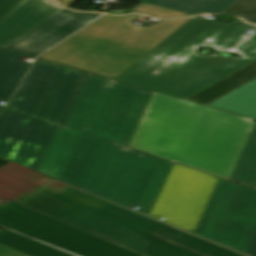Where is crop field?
I'll return each instance as SVG.
<instances>
[{"label":"crop field","mask_w":256,"mask_h":256,"mask_svg":"<svg viewBox=\"0 0 256 256\" xmlns=\"http://www.w3.org/2000/svg\"><path fill=\"white\" fill-rule=\"evenodd\" d=\"M133 12H143V13L149 14L156 18H175V17L191 16L188 14H184V13H180V12L144 4V3L139 5L137 8H135L130 13H133Z\"/></svg>","instance_id":"21"},{"label":"crop field","mask_w":256,"mask_h":256,"mask_svg":"<svg viewBox=\"0 0 256 256\" xmlns=\"http://www.w3.org/2000/svg\"><path fill=\"white\" fill-rule=\"evenodd\" d=\"M255 28L194 17L117 80L186 99L256 60V31L246 34ZM200 47L241 58L199 56Z\"/></svg>","instance_id":"3"},{"label":"crop field","mask_w":256,"mask_h":256,"mask_svg":"<svg viewBox=\"0 0 256 256\" xmlns=\"http://www.w3.org/2000/svg\"><path fill=\"white\" fill-rule=\"evenodd\" d=\"M0 256H28L0 245Z\"/></svg>","instance_id":"24"},{"label":"crop field","mask_w":256,"mask_h":256,"mask_svg":"<svg viewBox=\"0 0 256 256\" xmlns=\"http://www.w3.org/2000/svg\"><path fill=\"white\" fill-rule=\"evenodd\" d=\"M256 232V190L219 179L195 235L246 253Z\"/></svg>","instance_id":"8"},{"label":"crop field","mask_w":256,"mask_h":256,"mask_svg":"<svg viewBox=\"0 0 256 256\" xmlns=\"http://www.w3.org/2000/svg\"><path fill=\"white\" fill-rule=\"evenodd\" d=\"M52 1L56 2L57 0H52Z\"/></svg>","instance_id":"28"},{"label":"crop field","mask_w":256,"mask_h":256,"mask_svg":"<svg viewBox=\"0 0 256 256\" xmlns=\"http://www.w3.org/2000/svg\"><path fill=\"white\" fill-rule=\"evenodd\" d=\"M45 179L42 174L10 163L0 168V195L14 200L39 188L34 184Z\"/></svg>","instance_id":"13"},{"label":"crop field","mask_w":256,"mask_h":256,"mask_svg":"<svg viewBox=\"0 0 256 256\" xmlns=\"http://www.w3.org/2000/svg\"><path fill=\"white\" fill-rule=\"evenodd\" d=\"M246 254L250 256H256V234Z\"/></svg>","instance_id":"25"},{"label":"crop field","mask_w":256,"mask_h":256,"mask_svg":"<svg viewBox=\"0 0 256 256\" xmlns=\"http://www.w3.org/2000/svg\"><path fill=\"white\" fill-rule=\"evenodd\" d=\"M173 164L58 126L37 171L148 215Z\"/></svg>","instance_id":"1"},{"label":"crop field","mask_w":256,"mask_h":256,"mask_svg":"<svg viewBox=\"0 0 256 256\" xmlns=\"http://www.w3.org/2000/svg\"><path fill=\"white\" fill-rule=\"evenodd\" d=\"M141 16L105 15L40 58L116 79L190 20H165L138 29L130 22Z\"/></svg>","instance_id":"6"},{"label":"crop field","mask_w":256,"mask_h":256,"mask_svg":"<svg viewBox=\"0 0 256 256\" xmlns=\"http://www.w3.org/2000/svg\"><path fill=\"white\" fill-rule=\"evenodd\" d=\"M0 225L80 256H140L14 201L0 206Z\"/></svg>","instance_id":"9"},{"label":"crop field","mask_w":256,"mask_h":256,"mask_svg":"<svg viewBox=\"0 0 256 256\" xmlns=\"http://www.w3.org/2000/svg\"><path fill=\"white\" fill-rule=\"evenodd\" d=\"M5 111H7V109H4V108H1V107H0V116H1Z\"/></svg>","instance_id":"27"},{"label":"crop field","mask_w":256,"mask_h":256,"mask_svg":"<svg viewBox=\"0 0 256 256\" xmlns=\"http://www.w3.org/2000/svg\"><path fill=\"white\" fill-rule=\"evenodd\" d=\"M152 93L89 73L64 126L128 146Z\"/></svg>","instance_id":"7"},{"label":"crop field","mask_w":256,"mask_h":256,"mask_svg":"<svg viewBox=\"0 0 256 256\" xmlns=\"http://www.w3.org/2000/svg\"><path fill=\"white\" fill-rule=\"evenodd\" d=\"M20 56L23 55L0 49V102H8L31 66L30 63L17 61Z\"/></svg>","instance_id":"14"},{"label":"crop field","mask_w":256,"mask_h":256,"mask_svg":"<svg viewBox=\"0 0 256 256\" xmlns=\"http://www.w3.org/2000/svg\"><path fill=\"white\" fill-rule=\"evenodd\" d=\"M76 0H61L58 2V4H61L63 6L69 7L72 3H74Z\"/></svg>","instance_id":"26"},{"label":"crop field","mask_w":256,"mask_h":256,"mask_svg":"<svg viewBox=\"0 0 256 256\" xmlns=\"http://www.w3.org/2000/svg\"><path fill=\"white\" fill-rule=\"evenodd\" d=\"M223 13L238 14L251 23H256V0H237Z\"/></svg>","instance_id":"20"},{"label":"crop field","mask_w":256,"mask_h":256,"mask_svg":"<svg viewBox=\"0 0 256 256\" xmlns=\"http://www.w3.org/2000/svg\"><path fill=\"white\" fill-rule=\"evenodd\" d=\"M62 10L46 0L21 1L0 21V47H6Z\"/></svg>","instance_id":"12"},{"label":"crop field","mask_w":256,"mask_h":256,"mask_svg":"<svg viewBox=\"0 0 256 256\" xmlns=\"http://www.w3.org/2000/svg\"><path fill=\"white\" fill-rule=\"evenodd\" d=\"M208 106L256 119V79Z\"/></svg>","instance_id":"16"},{"label":"crop field","mask_w":256,"mask_h":256,"mask_svg":"<svg viewBox=\"0 0 256 256\" xmlns=\"http://www.w3.org/2000/svg\"><path fill=\"white\" fill-rule=\"evenodd\" d=\"M20 0H0V19L8 13Z\"/></svg>","instance_id":"22"},{"label":"crop field","mask_w":256,"mask_h":256,"mask_svg":"<svg viewBox=\"0 0 256 256\" xmlns=\"http://www.w3.org/2000/svg\"><path fill=\"white\" fill-rule=\"evenodd\" d=\"M218 179L175 163L149 215L194 233Z\"/></svg>","instance_id":"10"},{"label":"crop field","mask_w":256,"mask_h":256,"mask_svg":"<svg viewBox=\"0 0 256 256\" xmlns=\"http://www.w3.org/2000/svg\"><path fill=\"white\" fill-rule=\"evenodd\" d=\"M16 202L143 256H243L69 186Z\"/></svg>","instance_id":"4"},{"label":"crop field","mask_w":256,"mask_h":256,"mask_svg":"<svg viewBox=\"0 0 256 256\" xmlns=\"http://www.w3.org/2000/svg\"><path fill=\"white\" fill-rule=\"evenodd\" d=\"M87 74L38 59L0 117V158L36 171Z\"/></svg>","instance_id":"5"},{"label":"crop field","mask_w":256,"mask_h":256,"mask_svg":"<svg viewBox=\"0 0 256 256\" xmlns=\"http://www.w3.org/2000/svg\"><path fill=\"white\" fill-rule=\"evenodd\" d=\"M36 185H38V186H40V187H42L44 189H47V190H49L51 192H54V191H56V190H58V189H60V188H62L64 186H66V185H63L61 183L55 182L53 180H50V179H47V180H45L43 182H40V183H38Z\"/></svg>","instance_id":"23"},{"label":"crop field","mask_w":256,"mask_h":256,"mask_svg":"<svg viewBox=\"0 0 256 256\" xmlns=\"http://www.w3.org/2000/svg\"><path fill=\"white\" fill-rule=\"evenodd\" d=\"M0 244L31 256H73L6 229L0 231Z\"/></svg>","instance_id":"18"},{"label":"crop field","mask_w":256,"mask_h":256,"mask_svg":"<svg viewBox=\"0 0 256 256\" xmlns=\"http://www.w3.org/2000/svg\"><path fill=\"white\" fill-rule=\"evenodd\" d=\"M188 14L222 13L236 0H136ZM226 11V10H225Z\"/></svg>","instance_id":"17"},{"label":"crop field","mask_w":256,"mask_h":256,"mask_svg":"<svg viewBox=\"0 0 256 256\" xmlns=\"http://www.w3.org/2000/svg\"><path fill=\"white\" fill-rule=\"evenodd\" d=\"M100 15L65 9L5 49L36 57Z\"/></svg>","instance_id":"11"},{"label":"crop field","mask_w":256,"mask_h":256,"mask_svg":"<svg viewBox=\"0 0 256 256\" xmlns=\"http://www.w3.org/2000/svg\"><path fill=\"white\" fill-rule=\"evenodd\" d=\"M255 78L256 61L187 100L208 105Z\"/></svg>","instance_id":"15"},{"label":"crop field","mask_w":256,"mask_h":256,"mask_svg":"<svg viewBox=\"0 0 256 256\" xmlns=\"http://www.w3.org/2000/svg\"><path fill=\"white\" fill-rule=\"evenodd\" d=\"M230 179L256 187V125Z\"/></svg>","instance_id":"19"},{"label":"crop field","mask_w":256,"mask_h":256,"mask_svg":"<svg viewBox=\"0 0 256 256\" xmlns=\"http://www.w3.org/2000/svg\"><path fill=\"white\" fill-rule=\"evenodd\" d=\"M254 125L154 92L129 146L229 179Z\"/></svg>","instance_id":"2"}]
</instances>
